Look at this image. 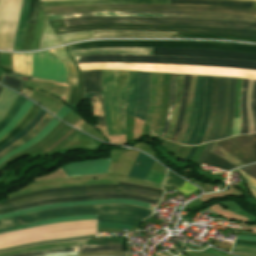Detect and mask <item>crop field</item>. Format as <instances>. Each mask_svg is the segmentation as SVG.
<instances>
[{
	"label": "crop field",
	"instance_id": "1",
	"mask_svg": "<svg viewBox=\"0 0 256 256\" xmlns=\"http://www.w3.org/2000/svg\"><path fill=\"white\" fill-rule=\"evenodd\" d=\"M128 72L103 70V105L108 136L125 134V97Z\"/></svg>",
	"mask_w": 256,
	"mask_h": 256
},
{
	"label": "crop field",
	"instance_id": "2",
	"mask_svg": "<svg viewBox=\"0 0 256 256\" xmlns=\"http://www.w3.org/2000/svg\"><path fill=\"white\" fill-rule=\"evenodd\" d=\"M151 213L152 210L126 204L57 208L0 220V229L37 220L81 214H121L143 220Z\"/></svg>",
	"mask_w": 256,
	"mask_h": 256
},
{
	"label": "crop field",
	"instance_id": "3",
	"mask_svg": "<svg viewBox=\"0 0 256 256\" xmlns=\"http://www.w3.org/2000/svg\"><path fill=\"white\" fill-rule=\"evenodd\" d=\"M76 63L87 62H139V63H160L198 66H223L241 69L256 70V62L209 59V58H188V57H164V56H134V55H90L73 57Z\"/></svg>",
	"mask_w": 256,
	"mask_h": 256
},
{
	"label": "crop field",
	"instance_id": "4",
	"mask_svg": "<svg viewBox=\"0 0 256 256\" xmlns=\"http://www.w3.org/2000/svg\"><path fill=\"white\" fill-rule=\"evenodd\" d=\"M67 50L85 47H174L226 50L234 52L256 53V45L200 43L185 41H144V40H103L90 41L65 46Z\"/></svg>",
	"mask_w": 256,
	"mask_h": 256
},
{
	"label": "crop field",
	"instance_id": "5",
	"mask_svg": "<svg viewBox=\"0 0 256 256\" xmlns=\"http://www.w3.org/2000/svg\"><path fill=\"white\" fill-rule=\"evenodd\" d=\"M44 13L51 12H77L89 10H189V11H210L229 14H242L256 16V10L236 7H223L211 5H130V4H109V5H83L40 8Z\"/></svg>",
	"mask_w": 256,
	"mask_h": 256
},
{
	"label": "crop field",
	"instance_id": "6",
	"mask_svg": "<svg viewBox=\"0 0 256 256\" xmlns=\"http://www.w3.org/2000/svg\"><path fill=\"white\" fill-rule=\"evenodd\" d=\"M66 26L88 23H138L163 25H200L232 29L256 30V24L236 23L228 21L184 19V18H120V17H90L64 20Z\"/></svg>",
	"mask_w": 256,
	"mask_h": 256
},
{
	"label": "crop field",
	"instance_id": "7",
	"mask_svg": "<svg viewBox=\"0 0 256 256\" xmlns=\"http://www.w3.org/2000/svg\"><path fill=\"white\" fill-rule=\"evenodd\" d=\"M96 29H129V30H152V31H172V32H198L223 35H245L256 36V31L230 30L195 26H163V25H137V24H89L71 27L53 28L56 34L96 30Z\"/></svg>",
	"mask_w": 256,
	"mask_h": 256
},
{
	"label": "crop field",
	"instance_id": "8",
	"mask_svg": "<svg viewBox=\"0 0 256 256\" xmlns=\"http://www.w3.org/2000/svg\"><path fill=\"white\" fill-rule=\"evenodd\" d=\"M235 84L236 79L219 77L217 107L209 141L231 136Z\"/></svg>",
	"mask_w": 256,
	"mask_h": 256
},
{
	"label": "crop field",
	"instance_id": "9",
	"mask_svg": "<svg viewBox=\"0 0 256 256\" xmlns=\"http://www.w3.org/2000/svg\"><path fill=\"white\" fill-rule=\"evenodd\" d=\"M94 12H116V14H134V13H164V16L158 17H185V18H201V19H215V20H228L236 22L256 23L254 16L242 15H224L218 13L208 12H155V11H94ZM95 16H121V17H145L157 16L163 14H135V15H115V13H94ZM63 19L82 18L94 16L93 12L82 13H61ZM60 14H46L48 20L62 19Z\"/></svg>",
	"mask_w": 256,
	"mask_h": 256
},
{
	"label": "crop field",
	"instance_id": "10",
	"mask_svg": "<svg viewBox=\"0 0 256 256\" xmlns=\"http://www.w3.org/2000/svg\"><path fill=\"white\" fill-rule=\"evenodd\" d=\"M210 152L230 161L236 167L256 161V134L240 135L215 142Z\"/></svg>",
	"mask_w": 256,
	"mask_h": 256
},
{
	"label": "crop field",
	"instance_id": "11",
	"mask_svg": "<svg viewBox=\"0 0 256 256\" xmlns=\"http://www.w3.org/2000/svg\"><path fill=\"white\" fill-rule=\"evenodd\" d=\"M171 4H214L237 7L252 8L253 3L238 2V1H222V0H170ZM169 0H66V1H47L40 2L39 7L43 6H62V5H78V4H104V3H160L170 4Z\"/></svg>",
	"mask_w": 256,
	"mask_h": 256
},
{
	"label": "crop field",
	"instance_id": "12",
	"mask_svg": "<svg viewBox=\"0 0 256 256\" xmlns=\"http://www.w3.org/2000/svg\"><path fill=\"white\" fill-rule=\"evenodd\" d=\"M21 0H0V49L11 50Z\"/></svg>",
	"mask_w": 256,
	"mask_h": 256
},
{
	"label": "crop field",
	"instance_id": "13",
	"mask_svg": "<svg viewBox=\"0 0 256 256\" xmlns=\"http://www.w3.org/2000/svg\"><path fill=\"white\" fill-rule=\"evenodd\" d=\"M33 72L32 76L66 82V71L63 63L51 56L46 51L32 53Z\"/></svg>",
	"mask_w": 256,
	"mask_h": 256
},
{
	"label": "crop field",
	"instance_id": "14",
	"mask_svg": "<svg viewBox=\"0 0 256 256\" xmlns=\"http://www.w3.org/2000/svg\"><path fill=\"white\" fill-rule=\"evenodd\" d=\"M153 55L209 57V58H226V59L256 61V54L234 53V52L213 51V50H198V49L153 48Z\"/></svg>",
	"mask_w": 256,
	"mask_h": 256
},
{
	"label": "crop field",
	"instance_id": "15",
	"mask_svg": "<svg viewBox=\"0 0 256 256\" xmlns=\"http://www.w3.org/2000/svg\"><path fill=\"white\" fill-rule=\"evenodd\" d=\"M93 193H113V194H118V193H128V194H134L150 199H155L161 197L159 194H154V193H149V192H144L136 189H130V188H118V190L114 189H99V190H92V191H84V192H66V193H59V194H50V195H43V196H37V197H32L24 200H19L15 201L13 203L7 204V205H0V209L7 208V207H12V206H17L33 201H39V200H45L49 198H56V197H67V196H81V195H86V194H93ZM162 198V197H161Z\"/></svg>",
	"mask_w": 256,
	"mask_h": 256
},
{
	"label": "crop field",
	"instance_id": "16",
	"mask_svg": "<svg viewBox=\"0 0 256 256\" xmlns=\"http://www.w3.org/2000/svg\"><path fill=\"white\" fill-rule=\"evenodd\" d=\"M109 159L80 160L63 165L60 169L67 176L106 173Z\"/></svg>",
	"mask_w": 256,
	"mask_h": 256
},
{
	"label": "crop field",
	"instance_id": "17",
	"mask_svg": "<svg viewBox=\"0 0 256 256\" xmlns=\"http://www.w3.org/2000/svg\"><path fill=\"white\" fill-rule=\"evenodd\" d=\"M111 203H126V204L142 206L145 208L150 207V204H146V203L131 200V199L89 200V201H78V202H72V203H56V204H50V205H46V206L32 207V208L16 211L13 213L2 214V215H0V219L11 217V216L22 215V214H26V213H30V212H34V211L49 209V208L88 205V204H111Z\"/></svg>",
	"mask_w": 256,
	"mask_h": 256
},
{
	"label": "crop field",
	"instance_id": "18",
	"mask_svg": "<svg viewBox=\"0 0 256 256\" xmlns=\"http://www.w3.org/2000/svg\"><path fill=\"white\" fill-rule=\"evenodd\" d=\"M90 38H92L91 31L56 35L46 19L38 49Z\"/></svg>",
	"mask_w": 256,
	"mask_h": 256
},
{
	"label": "crop field",
	"instance_id": "19",
	"mask_svg": "<svg viewBox=\"0 0 256 256\" xmlns=\"http://www.w3.org/2000/svg\"><path fill=\"white\" fill-rule=\"evenodd\" d=\"M101 198H132V199L140 200V201L155 204V205L157 203V201H155V200H149V199H145V198H142V197L127 195V194H118V195L93 194V195H87V196H81V197L57 198V199H49V200H45V201L29 203V204H25V205L13 207V208L0 210V214L6 213V212H13V211H16V210H20V209H24V208H28V207H32V206L45 205V204H49V203L71 202V201H77V200H89V199H101Z\"/></svg>",
	"mask_w": 256,
	"mask_h": 256
},
{
	"label": "crop field",
	"instance_id": "20",
	"mask_svg": "<svg viewBox=\"0 0 256 256\" xmlns=\"http://www.w3.org/2000/svg\"><path fill=\"white\" fill-rule=\"evenodd\" d=\"M118 186H124V187H130V188H136L140 190H145V191H150V192H155V193H160L162 194L163 191L152 189V188H147L139 185H133V184H127V183H121L119 182L118 185H93V186H84V187H74V188H65V189H55V190H45V191H37L33 193H29L20 197H13L10 199H7L3 201V203H8L10 201L14 200H19L31 196H36V195H42V194H49V193H55V192H65V191H83V190H89V189H95V188H115L117 189Z\"/></svg>",
	"mask_w": 256,
	"mask_h": 256
},
{
	"label": "crop field",
	"instance_id": "21",
	"mask_svg": "<svg viewBox=\"0 0 256 256\" xmlns=\"http://www.w3.org/2000/svg\"><path fill=\"white\" fill-rule=\"evenodd\" d=\"M92 34H93V38H100V37L175 38V33L128 31V30H96V31H92Z\"/></svg>",
	"mask_w": 256,
	"mask_h": 256
},
{
	"label": "crop field",
	"instance_id": "22",
	"mask_svg": "<svg viewBox=\"0 0 256 256\" xmlns=\"http://www.w3.org/2000/svg\"><path fill=\"white\" fill-rule=\"evenodd\" d=\"M69 52L72 54V56L89 55V54L152 55V48H86V49L69 50Z\"/></svg>",
	"mask_w": 256,
	"mask_h": 256
},
{
	"label": "crop field",
	"instance_id": "23",
	"mask_svg": "<svg viewBox=\"0 0 256 256\" xmlns=\"http://www.w3.org/2000/svg\"><path fill=\"white\" fill-rule=\"evenodd\" d=\"M150 73L140 72L136 117L145 120L149 105Z\"/></svg>",
	"mask_w": 256,
	"mask_h": 256
},
{
	"label": "crop field",
	"instance_id": "24",
	"mask_svg": "<svg viewBox=\"0 0 256 256\" xmlns=\"http://www.w3.org/2000/svg\"><path fill=\"white\" fill-rule=\"evenodd\" d=\"M84 82V92H97L101 94V70L81 71ZM96 93H84L83 99Z\"/></svg>",
	"mask_w": 256,
	"mask_h": 256
},
{
	"label": "crop field",
	"instance_id": "25",
	"mask_svg": "<svg viewBox=\"0 0 256 256\" xmlns=\"http://www.w3.org/2000/svg\"><path fill=\"white\" fill-rule=\"evenodd\" d=\"M139 72H129L126 98V114L135 116Z\"/></svg>",
	"mask_w": 256,
	"mask_h": 256
},
{
	"label": "crop field",
	"instance_id": "26",
	"mask_svg": "<svg viewBox=\"0 0 256 256\" xmlns=\"http://www.w3.org/2000/svg\"><path fill=\"white\" fill-rule=\"evenodd\" d=\"M65 51L63 47H60V48L48 50L47 52L57 57L64 63L67 70V76H68L67 83L73 86H77V73H76L75 67Z\"/></svg>",
	"mask_w": 256,
	"mask_h": 256
},
{
	"label": "crop field",
	"instance_id": "27",
	"mask_svg": "<svg viewBox=\"0 0 256 256\" xmlns=\"http://www.w3.org/2000/svg\"><path fill=\"white\" fill-rule=\"evenodd\" d=\"M153 160L139 153L128 176L144 180Z\"/></svg>",
	"mask_w": 256,
	"mask_h": 256
},
{
	"label": "crop field",
	"instance_id": "28",
	"mask_svg": "<svg viewBox=\"0 0 256 256\" xmlns=\"http://www.w3.org/2000/svg\"><path fill=\"white\" fill-rule=\"evenodd\" d=\"M29 2H30V0H22L19 24H18V28L16 31L15 40H14L12 50H20L21 49L24 31H25V25H26L27 16H28Z\"/></svg>",
	"mask_w": 256,
	"mask_h": 256
},
{
	"label": "crop field",
	"instance_id": "29",
	"mask_svg": "<svg viewBox=\"0 0 256 256\" xmlns=\"http://www.w3.org/2000/svg\"><path fill=\"white\" fill-rule=\"evenodd\" d=\"M82 219H97V215H81V216H74V217H64V218H55V219H48L36 223L18 225L10 228L1 229L0 233H6L10 231L20 230L32 226L43 225V224H50V223H57V222H66V221H75V220H82Z\"/></svg>",
	"mask_w": 256,
	"mask_h": 256
},
{
	"label": "crop field",
	"instance_id": "30",
	"mask_svg": "<svg viewBox=\"0 0 256 256\" xmlns=\"http://www.w3.org/2000/svg\"><path fill=\"white\" fill-rule=\"evenodd\" d=\"M59 121H57L56 119H52L50 121V123L41 131L39 132L35 137H33L31 140H29L28 142L24 143L23 145H21L20 147L16 148L15 150L11 151L10 153H8L7 155H5L4 157H2L0 159V164L2 162H4L5 160H7L9 157L29 148L30 146L34 145L35 143H37L39 140H41L43 137H45L58 123Z\"/></svg>",
	"mask_w": 256,
	"mask_h": 256
},
{
	"label": "crop field",
	"instance_id": "31",
	"mask_svg": "<svg viewBox=\"0 0 256 256\" xmlns=\"http://www.w3.org/2000/svg\"><path fill=\"white\" fill-rule=\"evenodd\" d=\"M49 114H45L43 118L38 122V124L24 137L10 145L9 147L5 148L2 152H0V158L10 152L11 150L15 149L19 145L23 144L24 142L28 141L30 138H32L34 135H36L40 130H42L45 125L52 119Z\"/></svg>",
	"mask_w": 256,
	"mask_h": 256
},
{
	"label": "crop field",
	"instance_id": "32",
	"mask_svg": "<svg viewBox=\"0 0 256 256\" xmlns=\"http://www.w3.org/2000/svg\"><path fill=\"white\" fill-rule=\"evenodd\" d=\"M176 38L230 39V40H240V41L256 42V37L223 36V35H210V34H197V33H176Z\"/></svg>",
	"mask_w": 256,
	"mask_h": 256
},
{
	"label": "crop field",
	"instance_id": "33",
	"mask_svg": "<svg viewBox=\"0 0 256 256\" xmlns=\"http://www.w3.org/2000/svg\"><path fill=\"white\" fill-rule=\"evenodd\" d=\"M84 242H85V240L58 243V244L37 245V246H32V247H27V248H22V249L7 251V252H2V253H0V256L14 255V254H19V253H25V252L36 251V250L51 249V248L62 247V246L83 245Z\"/></svg>",
	"mask_w": 256,
	"mask_h": 256
},
{
	"label": "crop field",
	"instance_id": "34",
	"mask_svg": "<svg viewBox=\"0 0 256 256\" xmlns=\"http://www.w3.org/2000/svg\"><path fill=\"white\" fill-rule=\"evenodd\" d=\"M211 81H212V77H207L206 90H205V110H204V116H203V121H202V125H201V129H200L199 135H198L194 145L200 143V140H201V138L203 136V133H204L205 128H206L207 123H208V119H209V115H210Z\"/></svg>",
	"mask_w": 256,
	"mask_h": 256
},
{
	"label": "crop field",
	"instance_id": "35",
	"mask_svg": "<svg viewBox=\"0 0 256 256\" xmlns=\"http://www.w3.org/2000/svg\"><path fill=\"white\" fill-rule=\"evenodd\" d=\"M182 80H183V75H177V88H176L174 111H173L172 118L170 120L168 133L165 137L168 140L170 139V137L174 131L175 123L177 120V115H178V111H179V107H180V100H181Z\"/></svg>",
	"mask_w": 256,
	"mask_h": 256
},
{
	"label": "crop field",
	"instance_id": "36",
	"mask_svg": "<svg viewBox=\"0 0 256 256\" xmlns=\"http://www.w3.org/2000/svg\"><path fill=\"white\" fill-rule=\"evenodd\" d=\"M190 77L191 75H184V80H183V91H182V101H181V107H180V112H179V116H178V120H177V124H176V128L175 131L171 137V141H175L180 128H181V124H182V120H183V115H184V111H185V105H186V99H187V93H188V88H189V82H190Z\"/></svg>",
	"mask_w": 256,
	"mask_h": 256
},
{
	"label": "crop field",
	"instance_id": "37",
	"mask_svg": "<svg viewBox=\"0 0 256 256\" xmlns=\"http://www.w3.org/2000/svg\"><path fill=\"white\" fill-rule=\"evenodd\" d=\"M204 89H205V76H202V80H201V91H200V101H199V108H198V113H197V117H196V121L194 124V128L193 131L187 141L186 144L188 145H192L197 132H198V128L200 125V121H201V117H202V113H203V108H204Z\"/></svg>",
	"mask_w": 256,
	"mask_h": 256
},
{
	"label": "crop field",
	"instance_id": "38",
	"mask_svg": "<svg viewBox=\"0 0 256 256\" xmlns=\"http://www.w3.org/2000/svg\"><path fill=\"white\" fill-rule=\"evenodd\" d=\"M36 105H32V107L28 110L25 116L21 119V121L17 124V126L9 132L5 137L0 140V145L18 133L20 130L24 128V126L29 122V120L35 115V113L39 110Z\"/></svg>",
	"mask_w": 256,
	"mask_h": 256
},
{
	"label": "crop field",
	"instance_id": "39",
	"mask_svg": "<svg viewBox=\"0 0 256 256\" xmlns=\"http://www.w3.org/2000/svg\"><path fill=\"white\" fill-rule=\"evenodd\" d=\"M17 94L3 88L0 93V119L7 113Z\"/></svg>",
	"mask_w": 256,
	"mask_h": 256
},
{
	"label": "crop field",
	"instance_id": "40",
	"mask_svg": "<svg viewBox=\"0 0 256 256\" xmlns=\"http://www.w3.org/2000/svg\"><path fill=\"white\" fill-rule=\"evenodd\" d=\"M175 86H176V75L170 74V94H169V105H168V113L165 121V125L162 132V137H165L168 129V124L170 117L172 115L174 97H175Z\"/></svg>",
	"mask_w": 256,
	"mask_h": 256
},
{
	"label": "crop field",
	"instance_id": "41",
	"mask_svg": "<svg viewBox=\"0 0 256 256\" xmlns=\"http://www.w3.org/2000/svg\"><path fill=\"white\" fill-rule=\"evenodd\" d=\"M217 82H218V77H213L212 99H211V115H210L209 123H208V126L206 128V131L204 133V136L202 138L201 143L208 141V137H209L210 130H211V127H212L213 118H214V111H215V104H216Z\"/></svg>",
	"mask_w": 256,
	"mask_h": 256
},
{
	"label": "crop field",
	"instance_id": "42",
	"mask_svg": "<svg viewBox=\"0 0 256 256\" xmlns=\"http://www.w3.org/2000/svg\"><path fill=\"white\" fill-rule=\"evenodd\" d=\"M32 104L33 103L29 102L27 99L25 100L12 121L3 130L0 131V139L16 126V124L20 121V119L24 116Z\"/></svg>",
	"mask_w": 256,
	"mask_h": 256
},
{
	"label": "crop field",
	"instance_id": "43",
	"mask_svg": "<svg viewBox=\"0 0 256 256\" xmlns=\"http://www.w3.org/2000/svg\"><path fill=\"white\" fill-rule=\"evenodd\" d=\"M45 113L46 112H44L43 110H40L22 131H20L17 135H15L13 138H11L8 142H6L4 145L0 147V151L3 150L8 145L15 142L16 140H18L19 138H21L22 136H24L27 132H29Z\"/></svg>",
	"mask_w": 256,
	"mask_h": 256
},
{
	"label": "crop field",
	"instance_id": "44",
	"mask_svg": "<svg viewBox=\"0 0 256 256\" xmlns=\"http://www.w3.org/2000/svg\"><path fill=\"white\" fill-rule=\"evenodd\" d=\"M203 164H207L210 166H214L223 170H231L233 168H235V166H233L231 163H229L228 161L208 152L205 160L203 161Z\"/></svg>",
	"mask_w": 256,
	"mask_h": 256
},
{
	"label": "crop field",
	"instance_id": "45",
	"mask_svg": "<svg viewBox=\"0 0 256 256\" xmlns=\"http://www.w3.org/2000/svg\"><path fill=\"white\" fill-rule=\"evenodd\" d=\"M98 221L121 223L137 227H139L141 223L139 220L117 215H98Z\"/></svg>",
	"mask_w": 256,
	"mask_h": 256
},
{
	"label": "crop field",
	"instance_id": "46",
	"mask_svg": "<svg viewBox=\"0 0 256 256\" xmlns=\"http://www.w3.org/2000/svg\"><path fill=\"white\" fill-rule=\"evenodd\" d=\"M93 117L98 116V124L105 126L102 95L91 97Z\"/></svg>",
	"mask_w": 256,
	"mask_h": 256
},
{
	"label": "crop field",
	"instance_id": "47",
	"mask_svg": "<svg viewBox=\"0 0 256 256\" xmlns=\"http://www.w3.org/2000/svg\"><path fill=\"white\" fill-rule=\"evenodd\" d=\"M247 82H248V80L243 79L242 96H241V130H240V134L248 133V120H247V114H246V110H245V91H246Z\"/></svg>",
	"mask_w": 256,
	"mask_h": 256
},
{
	"label": "crop field",
	"instance_id": "48",
	"mask_svg": "<svg viewBox=\"0 0 256 256\" xmlns=\"http://www.w3.org/2000/svg\"><path fill=\"white\" fill-rule=\"evenodd\" d=\"M200 80H201V76H198L197 79V86H196V93H195V100H194V105H193V110H192V115H191V120H190V124L188 126V129L185 133V136L182 140L181 143L185 144L191 131H192V127L194 124V120H195V115H196V111H197V106H198V100H199V91H200Z\"/></svg>",
	"mask_w": 256,
	"mask_h": 256
},
{
	"label": "crop field",
	"instance_id": "49",
	"mask_svg": "<svg viewBox=\"0 0 256 256\" xmlns=\"http://www.w3.org/2000/svg\"><path fill=\"white\" fill-rule=\"evenodd\" d=\"M25 98L18 95L16 100L14 101L13 105L9 109L8 113L5 115V117L0 121V130L5 127L9 121L13 118V116L16 114L18 109L20 108L21 104L24 102Z\"/></svg>",
	"mask_w": 256,
	"mask_h": 256
},
{
	"label": "crop field",
	"instance_id": "50",
	"mask_svg": "<svg viewBox=\"0 0 256 256\" xmlns=\"http://www.w3.org/2000/svg\"><path fill=\"white\" fill-rule=\"evenodd\" d=\"M102 251H124L123 245H91L84 246L83 252H102Z\"/></svg>",
	"mask_w": 256,
	"mask_h": 256
},
{
	"label": "crop field",
	"instance_id": "51",
	"mask_svg": "<svg viewBox=\"0 0 256 256\" xmlns=\"http://www.w3.org/2000/svg\"><path fill=\"white\" fill-rule=\"evenodd\" d=\"M80 248H81V246L64 247V248H58V249H52V250L30 252V253L19 254V255H14V256H37V255H41V254L55 253V252H71V251H79Z\"/></svg>",
	"mask_w": 256,
	"mask_h": 256
},
{
	"label": "crop field",
	"instance_id": "52",
	"mask_svg": "<svg viewBox=\"0 0 256 256\" xmlns=\"http://www.w3.org/2000/svg\"><path fill=\"white\" fill-rule=\"evenodd\" d=\"M184 180L168 172L163 185L182 187Z\"/></svg>",
	"mask_w": 256,
	"mask_h": 256
},
{
	"label": "crop field",
	"instance_id": "53",
	"mask_svg": "<svg viewBox=\"0 0 256 256\" xmlns=\"http://www.w3.org/2000/svg\"><path fill=\"white\" fill-rule=\"evenodd\" d=\"M38 5H39V0H31L30 9H29V16H28V21L27 22H31V23L36 22L37 13H38Z\"/></svg>",
	"mask_w": 256,
	"mask_h": 256
},
{
	"label": "crop field",
	"instance_id": "54",
	"mask_svg": "<svg viewBox=\"0 0 256 256\" xmlns=\"http://www.w3.org/2000/svg\"><path fill=\"white\" fill-rule=\"evenodd\" d=\"M232 251L247 254H256V246L234 244Z\"/></svg>",
	"mask_w": 256,
	"mask_h": 256
},
{
	"label": "crop field",
	"instance_id": "55",
	"mask_svg": "<svg viewBox=\"0 0 256 256\" xmlns=\"http://www.w3.org/2000/svg\"><path fill=\"white\" fill-rule=\"evenodd\" d=\"M164 176H165L164 174L149 171L145 180L160 185Z\"/></svg>",
	"mask_w": 256,
	"mask_h": 256
},
{
	"label": "crop field",
	"instance_id": "56",
	"mask_svg": "<svg viewBox=\"0 0 256 256\" xmlns=\"http://www.w3.org/2000/svg\"><path fill=\"white\" fill-rule=\"evenodd\" d=\"M98 228L132 229V228H134V227L126 226V225H120V224L99 222Z\"/></svg>",
	"mask_w": 256,
	"mask_h": 256
},
{
	"label": "crop field",
	"instance_id": "57",
	"mask_svg": "<svg viewBox=\"0 0 256 256\" xmlns=\"http://www.w3.org/2000/svg\"><path fill=\"white\" fill-rule=\"evenodd\" d=\"M252 111H253L255 127H256V81L254 83L253 94H252Z\"/></svg>",
	"mask_w": 256,
	"mask_h": 256
},
{
	"label": "crop field",
	"instance_id": "58",
	"mask_svg": "<svg viewBox=\"0 0 256 256\" xmlns=\"http://www.w3.org/2000/svg\"><path fill=\"white\" fill-rule=\"evenodd\" d=\"M91 237H95V235H92V236H85V237H80V238H73V239L91 238ZM68 240H72V239H64V240H55V241L37 242V243H33V244H38V243H48V242H57V241H68ZM28 245H32V244H28ZM28 245L12 247V248H8V249L0 250V251L12 250V249H16V248H18V247H25V246H28Z\"/></svg>",
	"mask_w": 256,
	"mask_h": 256
},
{
	"label": "crop field",
	"instance_id": "59",
	"mask_svg": "<svg viewBox=\"0 0 256 256\" xmlns=\"http://www.w3.org/2000/svg\"><path fill=\"white\" fill-rule=\"evenodd\" d=\"M244 172L256 179V165L241 168Z\"/></svg>",
	"mask_w": 256,
	"mask_h": 256
},
{
	"label": "crop field",
	"instance_id": "60",
	"mask_svg": "<svg viewBox=\"0 0 256 256\" xmlns=\"http://www.w3.org/2000/svg\"><path fill=\"white\" fill-rule=\"evenodd\" d=\"M203 253H207V254L214 255V256H227V254L220 252L218 250H215L211 247L207 248L205 251H203Z\"/></svg>",
	"mask_w": 256,
	"mask_h": 256
},
{
	"label": "crop field",
	"instance_id": "61",
	"mask_svg": "<svg viewBox=\"0 0 256 256\" xmlns=\"http://www.w3.org/2000/svg\"><path fill=\"white\" fill-rule=\"evenodd\" d=\"M213 144H214V142H213V143H208V144L206 145L205 149L203 150L202 154L200 155V157L198 158V160H197V162H196L197 164H201V162L204 160V158H205L207 152L209 151V149L211 148V146H212Z\"/></svg>",
	"mask_w": 256,
	"mask_h": 256
},
{
	"label": "crop field",
	"instance_id": "62",
	"mask_svg": "<svg viewBox=\"0 0 256 256\" xmlns=\"http://www.w3.org/2000/svg\"><path fill=\"white\" fill-rule=\"evenodd\" d=\"M72 109H70L69 107L67 106H63L55 116L59 117V118H63L68 112H70Z\"/></svg>",
	"mask_w": 256,
	"mask_h": 256
},
{
	"label": "crop field",
	"instance_id": "63",
	"mask_svg": "<svg viewBox=\"0 0 256 256\" xmlns=\"http://www.w3.org/2000/svg\"><path fill=\"white\" fill-rule=\"evenodd\" d=\"M78 252H71V253H55V254H47L41 256H77Z\"/></svg>",
	"mask_w": 256,
	"mask_h": 256
},
{
	"label": "crop field",
	"instance_id": "64",
	"mask_svg": "<svg viewBox=\"0 0 256 256\" xmlns=\"http://www.w3.org/2000/svg\"><path fill=\"white\" fill-rule=\"evenodd\" d=\"M197 148H198V146H193V147H192L190 153L188 154V156H187V158H186L187 161H190V159H191L192 156L194 155V153H195V151H196Z\"/></svg>",
	"mask_w": 256,
	"mask_h": 256
},
{
	"label": "crop field",
	"instance_id": "65",
	"mask_svg": "<svg viewBox=\"0 0 256 256\" xmlns=\"http://www.w3.org/2000/svg\"><path fill=\"white\" fill-rule=\"evenodd\" d=\"M74 129H71L63 138H61L59 141H57L54 145H52L50 148L42 151L41 153H45L46 151H48L49 149H51L53 146H55L56 144H58L60 141H62L68 134H70Z\"/></svg>",
	"mask_w": 256,
	"mask_h": 256
},
{
	"label": "crop field",
	"instance_id": "66",
	"mask_svg": "<svg viewBox=\"0 0 256 256\" xmlns=\"http://www.w3.org/2000/svg\"><path fill=\"white\" fill-rule=\"evenodd\" d=\"M236 239L256 241V237H246V236H240V235H238Z\"/></svg>",
	"mask_w": 256,
	"mask_h": 256
},
{
	"label": "crop field",
	"instance_id": "67",
	"mask_svg": "<svg viewBox=\"0 0 256 256\" xmlns=\"http://www.w3.org/2000/svg\"><path fill=\"white\" fill-rule=\"evenodd\" d=\"M96 256H123V255H96Z\"/></svg>",
	"mask_w": 256,
	"mask_h": 256
},
{
	"label": "crop field",
	"instance_id": "68",
	"mask_svg": "<svg viewBox=\"0 0 256 256\" xmlns=\"http://www.w3.org/2000/svg\"><path fill=\"white\" fill-rule=\"evenodd\" d=\"M40 1H47V0H40ZM241 1H256V0H241Z\"/></svg>",
	"mask_w": 256,
	"mask_h": 256
},
{
	"label": "crop field",
	"instance_id": "69",
	"mask_svg": "<svg viewBox=\"0 0 256 256\" xmlns=\"http://www.w3.org/2000/svg\"><path fill=\"white\" fill-rule=\"evenodd\" d=\"M2 90V87H0V91Z\"/></svg>",
	"mask_w": 256,
	"mask_h": 256
},
{
	"label": "crop field",
	"instance_id": "70",
	"mask_svg": "<svg viewBox=\"0 0 256 256\" xmlns=\"http://www.w3.org/2000/svg\"><path fill=\"white\" fill-rule=\"evenodd\" d=\"M67 223V222H66ZM58 224V223H57Z\"/></svg>",
	"mask_w": 256,
	"mask_h": 256
}]
</instances>
